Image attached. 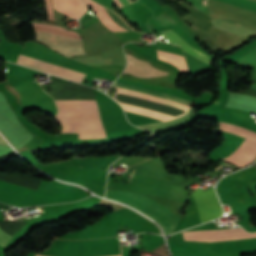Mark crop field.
<instances>
[{
  "label": "crop field",
  "mask_w": 256,
  "mask_h": 256,
  "mask_svg": "<svg viewBox=\"0 0 256 256\" xmlns=\"http://www.w3.org/2000/svg\"><path fill=\"white\" fill-rule=\"evenodd\" d=\"M57 119H101L95 101L56 103ZM62 132H76L79 139L107 137L101 120H59Z\"/></svg>",
  "instance_id": "obj_1"
},
{
  "label": "crop field",
  "mask_w": 256,
  "mask_h": 256,
  "mask_svg": "<svg viewBox=\"0 0 256 256\" xmlns=\"http://www.w3.org/2000/svg\"><path fill=\"white\" fill-rule=\"evenodd\" d=\"M106 198L128 204L156 220L169 235L179 218L151 198L135 193L107 190Z\"/></svg>",
  "instance_id": "obj_2"
},
{
  "label": "crop field",
  "mask_w": 256,
  "mask_h": 256,
  "mask_svg": "<svg viewBox=\"0 0 256 256\" xmlns=\"http://www.w3.org/2000/svg\"><path fill=\"white\" fill-rule=\"evenodd\" d=\"M38 42H41L59 53L69 57L68 55L84 53L81 46L80 36L65 28L55 25L37 24Z\"/></svg>",
  "instance_id": "obj_3"
},
{
  "label": "crop field",
  "mask_w": 256,
  "mask_h": 256,
  "mask_svg": "<svg viewBox=\"0 0 256 256\" xmlns=\"http://www.w3.org/2000/svg\"><path fill=\"white\" fill-rule=\"evenodd\" d=\"M220 130L229 131L256 142L255 132L238 127L236 125L225 124L220 122ZM247 139H245L242 145L232 155L224 159L231 161L235 164H238L240 166L253 160L254 156L256 155V143L249 141Z\"/></svg>",
  "instance_id": "obj_4"
},
{
  "label": "crop field",
  "mask_w": 256,
  "mask_h": 256,
  "mask_svg": "<svg viewBox=\"0 0 256 256\" xmlns=\"http://www.w3.org/2000/svg\"><path fill=\"white\" fill-rule=\"evenodd\" d=\"M192 194L199 212L201 223L220 216L222 209L213 187L207 189L205 192L198 188L193 191Z\"/></svg>",
  "instance_id": "obj_5"
},
{
  "label": "crop field",
  "mask_w": 256,
  "mask_h": 256,
  "mask_svg": "<svg viewBox=\"0 0 256 256\" xmlns=\"http://www.w3.org/2000/svg\"><path fill=\"white\" fill-rule=\"evenodd\" d=\"M17 63L37 69V70H41L53 75H57L69 80H73L79 83H81L85 75L84 73L77 72V71H74L65 67H61L49 62H45L33 57H29L23 54L19 55Z\"/></svg>",
  "instance_id": "obj_6"
},
{
  "label": "crop field",
  "mask_w": 256,
  "mask_h": 256,
  "mask_svg": "<svg viewBox=\"0 0 256 256\" xmlns=\"http://www.w3.org/2000/svg\"><path fill=\"white\" fill-rule=\"evenodd\" d=\"M183 234L185 240L196 241L232 240L256 237V233L248 234L242 228L227 230L192 231L183 232Z\"/></svg>",
  "instance_id": "obj_7"
},
{
  "label": "crop field",
  "mask_w": 256,
  "mask_h": 256,
  "mask_svg": "<svg viewBox=\"0 0 256 256\" xmlns=\"http://www.w3.org/2000/svg\"><path fill=\"white\" fill-rule=\"evenodd\" d=\"M87 4V6L91 7L92 11L96 13V15L98 16V18L100 19V21L109 29H111L112 31H133V29L116 13L107 10L105 8V10L110 14V16L112 17V19L119 24L120 26H124L125 30L123 28H121L119 25H117L112 19L111 17L108 15V13L104 10V8L102 6H100L99 4L91 1V0H84Z\"/></svg>",
  "instance_id": "obj_8"
},
{
  "label": "crop field",
  "mask_w": 256,
  "mask_h": 256,
  "mask_svg": "<svg viewBox=\"0 0 256 256\" xmlns=\"http://www.w3.org/2000/svg\"><path fill=\"white\" fill-rule=\"evenodd\" d=\"M52 2L56 10L73 18H79L86 10L81 0H52Z\"/></svg>",
  "instance_id": "obj_9"
},
{
  "label": "crop field",
  "mask_w": 256,
  "mask_h": 256,
  "mask_svg": "<svg viewBox=\"0 0 256 256\" xmlns=\"http://www.w3.org/2000/svg\"><path fill=\"white\" fill-rule=\"evenodd\" d=\"M228 107L256 112V98L240 93H231Z\"/></svg>",
  "instance_id": "obj_10"
},
{
  "label": "crop field",
  "mask_w": 256,
  "mask_h": 256,
  "mask_svg": "<svg viewBox=\"0 0 256 256\" xmlns=\"http://www.w3.org/2000/svg\"><path fill=\"white\" fill-rule=\"evenodd\" d=\"M161 34L165 38H167L170 42L175 43V44L181 46V48H183L184 51H186V52L192 54L193 56L199 58L200 60L210 64V61H211L210 57L202 54L201 52L197 51L193 47L189 46L172 29L163 31V32H161Z\"/></svg>",
  "instance_id": "obj_11"
},
{
  "label": "crop field",
  "mask_w": 256,
  "mask_h": 256,
  "mask_svg": "<svg viewBox=\"0 0 256 256\" xmlns=\"http://www.w3.org/2000/svg\"><path fill=\"white\" fill-rule=\"evenodd\" d=\"M212 25L215 27H218L220 29H223L225 31L235 33V34H238L241 36H244V35H247L249 33H253L256 31L249 27L237 25L232 22H225L223 20H212Z\"/></svg>",
  "instance_id": "obj_12"
},
{
  "label": "crop field",
  "mask_w": 256,
  "mask_h": 256,
  "mask_svg": "<svg viewBox=\"0 0 256 256\" xmlns=\"http://www.w3.org/2000/svg\"><path fill=\"white\" fill-rule=\"evenodd\" d=\"M113 86L119 87L122 89H126V90H131V91L147 94V95L164 98V99H169V100H173V101H177V102H181V103H185V104H190V102H191L190 100H186V99H182V98H178V97H174V96H170V95H166V94H162V93H158V92H153V91H149V90H145V89H141V88H137V87L121 84V83H114ZM115 89H117V88H115Z\"/></svg>",
  "instance_id": "obj_13"
},
{
  "label": "crop field",
  "mask_w": 256,
  "mask_h": 256,
  "mask_svg": "<svg viewBox=\"0 0 256 256\" xmlns=\"http://www.w3.org/2000/svg\"><path fill=\"white\" fill-rule=\"evenodd\" d=\"M221 1L229 3V4L237 5L240 7H244V8L250 9L252 11H256V2L255 1H251V0H221Z\"/></svg>",
  "instance_id": "obj_14"
},
{
  "label": "crop field",
  "mask_w": 256,
  "mask_h": 256,
  "mask_svg": "<svg viewBox=\"0 0 256 256\" xmlns=\"http://www.w3.org/2000/svg\"><path fill=\"white\" fill-rule=\"evenodd\" d=\"M153 18L156 19L163 26L176 23L171 18H169L166 14H164L163 12H161L160 14H158L157 16H155Z\"/></svg>",
  "instance_id": "obj_15"
},
{
  "label": "crop field",
  "mask_w": 256,
  "mask_h": 256,
  "mask_svg": "<svg viewBox=\"0 0 256 256\" xmlns=\"http://www.w3.org/2000/svg\"><path fill=\"white\" fill-rule=\"evenodd\" d=\"M239 60L246 61L249 63L256 64V48L241 57Z\"/></svg>",
  "instance_id": "obj_16"
},
{
  "label": "crop field",
  "mask_w": 256,
  "mask_h": 256,
  "mask_svg": "<svg viewBox=\"0 0 256 256\" xmlns=\"http://www.w3.org/2000/svg\"><path fill=\"white\" fill-rule=\"evenodd\" d=\"M11 238V236L5 234L0 230V245L4 246L6 245L7 241Z\"/></svg>",
  "instance_id": "obj_17"
},
{
  "label": "crop field",
  "mask_w": 256,
  "mask_h": 256,
  "mask_svg": "<svg viewBox=\"0 0 256 256\" xmlns=\"http://www.w3.org/2000/svg\"><path fill=\"white\" fill-rule=\"evenodd\" d=\"M115 3L120 7L122 5H125V4H129V1L128 0H114Z\"/></svg>",
  "instance_id": "obj_18"
},
{
  "label": "crop field",
  "mask_w": 256,
  "mask_h": 256,
  "mask_svg": "<svg viewBox=\"0 0 256 256\" xmlns=\"http://www.w3.org/2000/svg\"><path fill=\"white\" fill-rule=\"evenodd\" d=\"M0 145H7L1 136H0Z\"/></svg>",
  "instance_id": "obj_19"
},
{
  "label": "crop field",
  "mask_w": 256,
  "mask_h": 256,
  "mask_svg": "<svg viewBox=\"0 0 256 256\" xmlns=\"http://www.w3.org/2000/svg\"><path fill=\"white\" fill-rule=\"evenodd\" d=\"M49 23H52V24H54V21H49Z\"/></svg>",
  "instance_id": "obj_20"
}]
</instances>
